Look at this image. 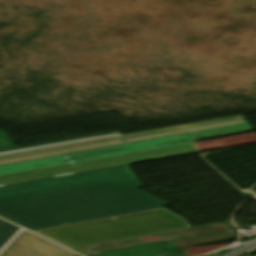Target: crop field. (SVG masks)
Returning a JSON list of instances; mask_svg holds the SVG:
<instances>
[{"label":"crop field","instance_id":"obj_1","mask_svg":"<svg viewBox=\"0 0 256 256\" xmlns=\"http://www.w3.org/2000/svg\"><path fill=\"white\" fill-rule=\"evenodd\" d=\"M128 179L0 201V215L32 230L158 208L166 202Z\"/></svg>","mask_w":256,"mask_h":256},{"label":"crop field","instance_id":"obj_4","mask_svg":"<svg viewBox=\"0 0 256 256\" xmlns=\"http://www.w3.org/2000/svg\"><path fill=\"white\" fill-rule=\"evenodd\" d=\"M128 165L66 177L0 187V200L134 178Z\"/></svg>","mask_w":256,"mask_h":256},{"label":"crop field","instance_id":"obj_17","mask_svg":"<svg viewBox=\"0 0 256 256\" xmlns=\"http://www.w3.org/2000/svg\"><path fill=\"white\" fill-rule=\"evenodd\" d=\"M10 138L6 135L3 130H0V141L9 140Z\"/></svg>","mask_w":256,"mask_h":256},{"label":"crop field","instance_id":"obj_7","mask_svg":"<svg viewBox=\"0 0 256 256\" xmlns=\"http://www.w3.org/2000/svg\"><path fill=\"white\" fill-rule=\"evenodd\" d=\"M67 251L49 241H46L28 231L19 235L0 256H73Z\"/></svg>","mask_w":256,"mask_h":256},{"label":"crop field","instance_id":"obj_12","mask_svg":"<svg viewBox=\"0 0 256 256\" xmlns=\"http://www.w3.org/2000/svg\"><path fill=\"white\" fill-rule=\"evenodd\" d=\"M21 228L0 220V248Z\"/></svg>","mask_w":256,"mask_h":256},{"label":"crop field","instance_id":"obj_13","mask_svg":"<svg viewBox=\"0 0 256 256\" xmlns=\"http://www.w3.org/2000/svg\"><path fill=\"white\" fill-rule=\"evenodd\" d=\"M229 245L226 246H214V247H201V248H192V249H185V250H179V251H175V253L177 254H181L182 256H199L208 252H212L224 247H227Z\"/></svg>","mask_w":256,"mask_h":256},{"label":"crop field","instance_id":"obj_8","mask_svg":"<svg viewBox=\"0 0 256 256\" xmlns=\"http://www.w3.org/2000/svg\"><path fill=\"white\" fill-rule=\"evenodd\" d=\"M242 118H243V116L239 115V116H233V117H227V118H221V119H215V120H209V121H203V122H197V123H191V124H185V125H179V126H174V127L156 129V130L145 131V132L113 136V137L102 138V139H97V140H92V141L81 142V143H75V144H70V145H64V146H58V147H52V148H46V149H40V150H34V151H28V152L3 155V156H0V160L21 157V156H27V155H33V154H39V153H45V152H51V151H57V150H63V149H69V148H75V147H81V146H87V145H93V144H99V143H105V142H111V141H117V140H122V139L140 137V136H145V135L157 134V133H162V132L174 131V130H179V129L191 128V127H196V126L208 125V124L225 122V121L242 119Z\"/></svg>","mask_w":256,"mask_h":256},{"label":"crop field","instance_id":"obj_11","mask_svg":"<svg viewBox=\"0 0 256 256\" xmlns=\"http://www.w3.org/2000/svg\"><path fill=\"white\" fill-rule=\"evenodd\" d=\"M195 145H196L195 143H192V144H186V145H180V146H175V147L163 148V149H158V150L146 151V152H141V153H135V154H130V155L118 156V157H113V158L101 159V160H96V161H90V162H84V163H78V164H70V165H64V166H58V167H52V168L28 171V172H23V173L5 175V176H0V179L9 178V177H15V176H21V175H27V174H32V173H38V172H44V171H50V170H56V169L67 168V167H73V166H79V165H84V164L108 161V160H113V159L137 156V155H142V154L166 151V150H171V149L195 146Z\"/></svg>","mask_w":256,"mask_h":256},{"label":"crop field","instance_id":"obj_14","mask_svg":"<svg viewBox=\"0 0 256 256\" xmlns=\"http://www.w3.org/2000/svg\"><path fill=\"white\" fill-rule=\"evenodd\" d=\"M119 134L120 133L111 134V135H105V136H99V137H94V138H88V139H82V140H76V141H70V142H64V143H58V144H52V145H46V146H40V147H34V148H28V149H22V150L2 152V153H0V155L9 154V153H15V152H21V151L34 150V149H40V148H46V147H52V146H58V145H64V144H70V143L81 142V141L97 139V138H102V137H108V136H113V135H119Z\"/></svg>","mask_w":256,"mask_h":256},{"label":"crop field","instance_id":"obj_3","mask_svg":"<svg viewBox=\"0 0 256 256\" xmlns=\"http://www.w3.org/2000/svg\"><path fill=\"white\" fill-rule=\"evenodd\" d=\"M253 130L249 123L222 127L217 129L193 132L188 134L164 137L159 139L45 157L40 159L16 162L11 164L0 165V175L23 172L28 170L96 160L101 158L113 157L118 155L130 154L146 150L158 149L163 147L175 146L180 144L192 143L194 140L251 131ZM69 156L70 159L64 157Z\"/></svg>","mask_w":256,"mask_h":256},{"label":"crop field","instance_id":"obj_15","mask_svg":"<svg viewBox=\"0 0 256 256\" xmlns=\"http://www.w3.org/2000/svg\"><path fill=\"white\" fill-rule=\"evenodd\" d=\"M106 134H111V133H106ZM100 135H105V134H100ZM94 136H99V135H93V136H87V137L69 139V140H64V141H70V140H76V139H82V138H88V137H94ZM64 141H58V142H64ZM58 142H52V143H58ZM52 143H46V144H52ZM46 144H41V145H46ZM35 146H40V145H35ZM29 147H34V146H29ZM23 148H28V147H23ZM15 149H22V148H13V149L1 150L0 152H2V151H8V150H15Z\"/></svg>","mask_w":256,"mask_h":256},{"label":"crop field","instance_id":"obj_16","mask_svg":"<svg viewBox=\"0 0 256 256\" xmlns=\"http://www.w3.org/2000/svg\"><path fill=\"white\" fill-rule=\"evenodd\" d=\"M13 147H15V145L13 144L12 140L0 142V149H7Z\"/></svg>","mask_w":256,"mask_h":256},{"label":"crop field","instance_id":"obj_5","mask_svg":"<svg viewBox=\"0 0 256 256\" xmlns=\"http://www.w3.org/2000/svg\"><path fill=\"white\" fill-rule=\"evenodd\" d=\"M227 230H230L229 226L226 223H220V224L183 229V230H178L173 232H167V233H162L157 235L124 240V241L92 246V247L76 249V250L88 256H92V255H97V254H102L107 252H113V251L133 248V247H139L144 245H150L155 243H161L166 241H172V240L183 239V238L194 237V236L205 235V234L216 233V232L227 231Z\"/></svg>","mask_w":256,"mask_h":256},{"label":"crop field","instance_id":"obj_9","mask_svg":"<svg viewBox=\"0 0 256 256\" xmlns=\"http://www.w3.org/2000/svg\"><path fill=\"white\" fill-rule=\"evenodd\" d=\"M246 122L247 121L245 119H242V120L230 121V122H225V123L213 124V125H208V126L196 127V128H191V129L179 130V131H174V132L162 133V134L145 136V137H140V138L122 140V141H125V143H128V142H134V141H140V140H146V139H152V138H158V137H164V136H170V135H176V134H182V133H188V132H193V131L217 128V127H222V126L246 123ZM116 144H122V142L117 141V142L105 143V144H100V145H94V146H88V147H82V148H76V149H70V150H64V151H58V152H52V153H46V154H40V155H34V156L4 160V161H0V164L34 159V158H40V157H45V156L57 155V154H63V153H69V152L92 149V148H98V147H104V146H110V145H116Z\"/></svg>","mask_w":256,"mask_h":256},{"label":"crop field","instance_id":"obj_6","mask_svg":"<svg viewBox=\"0 0 256 256\" xmlns=\"http://www.w3.org/2000/svg\"><path fill=\"white\" fill-rule=\"evenodd\" d=\"M201 151L197 146L0 180V186Z\"/></svg>","mask_w":256,"mask_h":256},{"label":"crop field","instance_id":"obj_10","mask_svg":"<svg viewBox=\"0 0 256 256\" xmlns=\"http://www.w3.org/2000/svg\"><path fill=\"white\" fill-rule=\"evenodd\" d=\"M256 142V134L255 133H248L242 134L234 137L211 140V141H204V142H197L196 144L202 151L253 143Z\"/></svg>","mask_w":256,"mask_h":256},{"label":"crop field","instance_id":"obj_2","mask_svg":"<svg viewBox=\"0 0 256 256\" xmlns=\"http://www.w3.org/2000/svg\"><path fill=\"white\" fill-rule=\"evenodd\" d=\"M189 227L186 220L161 208L36 232L76 249Z\"/></svg>","mask_w":256,"mask_h":256},{"label":"crop field","instance_id":"obj_18","mask_svg":"<svg viewBox=\"0 0 256 256\" xmlns=\"http://www.w3.org/2000/svg\"><path fill=\"white\" fill-rule=\"evenodd\" d=\"M74 256H79V255L75 254Z\"/></svg>","mask_w":256,"mask_h":256}]
</instances>
